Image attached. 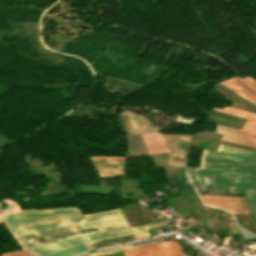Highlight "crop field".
Masks as SVG:
<instances>
[{
	"label": "crop field",
	"instance_id": "crop-field-7",
	"mask_svg": "<svg viewBox=\"0 0 256 256\" xmlns=\"http://www.w3.org/2000/svg\"><path fill=\"white\" fill-rule=\"evenodd\" d=\"M90 158L100 176L110 177L115 175H124L122 172L124 157L94 156Z\"/></svg>",
	"mask_w": 256,
	"mask_h": 256
},
{
	"label": "crop field",
	"instance_id": "crop-field-2",
	"mask_svg": "<svg viewBox=\"0 0 256 256\" xmlns=\"http://www.w3.org/2000/svg\"><path fill=\"white\" fill-rule=\"evenodd\" d=\"M78 217L69 218L61 221H56L52 223H47L43 225H38L34 227H29L21 230L12 231L11 234H20L70 223L77 222ZM80 232L78 229L77 223L15 235L14 238L17 242L21 245L22 248L32 246L35 244H39V240L34 239L32 237L24 238L26 235L34 234L35 236L42 239L44 242L57 239L60 236H65L73 233ZM43 243V242H42ZM25 250L37 255V256H70L82 251L90 250V247L85 242L84 238L82 237L81 233L75 234L72 236H68L65 238L57 239L54 241L46 242L43 244L35 245L32 247L24 248Z\"/></svg>",
	"mask_w": 256,
	"mask_h": 256
},
{
	"label": "crop field",
	"instance_id": "crop-field-10",
	"mask_svg": "<svg viewBox=\"0 0 256 256\" xmlns=\"http://www.w3.org/2000/svg\"><path fill=\"white\" fill-rule=\"evenodd\" d=\"M217 111L248 118L241 130L256 134V114L225 106L224 109L214 108Z\"/></svg>",
	"mask_w": 256,
	"mask_h": 256
},
{
	"label": "crop field",
	"instance_id": "crop-field-5",
	"mask_svg": "<svg viewBox=\"0 0 256 256\" xmlns=\"http://www.w3.org/2000/svg\"><path fill=\"white\" fill-rule=\"evenodd\" d=\"M180 249L178 243L169 240L161 243L147 245L124 251L126 256H178L183 253L178 252Z\"/></svg>",
	"mask_w": 256,
	"mask_h": 256
},
{
	"label": "crop field",
	"instance_id": "crop-field-16",
	"mask_svg": "<svg viewBox=\"0 0 256 256\" xmlns=\"http://www.w3.org/2000/svg\"><path fill=\"white\" fill-rule=\"evenodd\" d=\"M0 256H32V255L24 252L23 250H20V251L10 252L6 254H1Z\"/></svg>",
	"mask_w": 256,
	"mask_h": 256
},
{
	"label": "crop field",
	"instance_id": "crop-field-17",
	"mask_svg": "<svg viewBox=\"0 0 256 256\" xmlns=\"http://www.w3.org/2000/svg\"><path fill=\"white\" fill-rule=\"evenodd\" d=\"M244 82H246L247 84H249L250 86H252L253 88L256 89V82H254L252 79H250L249 77L242 79Z\"/></svg>",
	"mask_w": 256,
	"mask_h": 256
},
{
	"label": "crop field",
	"instance_id": "crop-field-18",
	"mask_svg": "<svg viewBox=\"0 0 256 256\" xmlns=\"http://www.w3.org/2000/svg\"><path fill=\"white\" fill-rule=\"evenodd\" d=\"M211 210H212V207H211ZM211 210L207 214H205L202 217H200L199 219H197V221L202 223L208 217V215L210 214Z\"/></svg>",
	"mask_w": 256,
	"mask_h": 256
},
{
	"label": "crop field",
	"instance_id": "crop-field-14",
	"mask_svg": "<svg viewBox=\"0 0 256 256\" xmlns=\"http://www.w3.org/2000/svg\"><path fill=\"white\" fill-rule=\"evenodd\" d=\"M229 79L256 97V91L253 90L251 87L234 77Z\"/></svg>",
	"mask_w": 256,
	"mask_h": 256
},
{
	"label": "crop field",
	"instance_id": "crop-field-6",
	"mask_svg": "<svg viewBox=\"0 0 256 256\" xmlns=\"http://www.w3.org/2000/svg\"><path fill=\"white\" fill-rule=\"evenodd\" d=\"M204 204H211L232 213L249 214L245 198L200 195Z\"/></svg>",
	"mask_w": 256,
	"mask_h": 256
},
{
	"label": "crop field",
	"instance_id": "crop-field-13",
	"mask_svg": "<svg viewBox=\"0 0 256 256\" xmlns=\"http://www.w3.org/2000/svg\"><path fill=\"white\" fill-rule=\"evenodd\" d=\"M170 221H162V222H157V223H152V224H147L143 226H138V227H133L132 230L134 231L135 235L137 236L138 239L149 237V234L146 229L165 225V224H170Z\"/></svg>",
	"mask_w": 256,
	"mask_h": 256
},
{
	"label": "crop field",
	"instance_id": "crop-field-9",
	"mask_svg": "<svg viewBox=\"0 0 256 256\" xmlns=\"http://www.w3.org/2000/svg\"><path fill=\"white\" fill-rule=\"evenodd\" d=\"M216 132L223 134V136L221 138L223 140L256 147V135L238 131V130H234V129H230V128H226V127L219 126V125H217Z\"/></svg>",
	"mask_w": 256,
	"mask_h": 256
},
{
	"label": "crop field",
	"instance_id": "crop-field-8",
	"mask_svg": "<svg viewBox=\"0 0 256 256\" xmlns=\"http://www.w3.org/2000/svg\"><path fill=\"white\" fill-rule=\"evenodd\" d=\"M202 154L256 162V152L222 144L219 145L217 152L204 149Z\"/></svg>",
	"mask_w": 256,
	"mask_h": 256
},
{
	"label": "crop field",
	"instance_id": "crop-field-1",
	"mask_svg": "<svg viewBox=\"0 0 256 256\" xmlns=\"http://www.w3.org/2000/svg\"><path fill=\"white\" fill-rule=\"evenodd\" d=\"M195 175L203 189L246 191L256 220V163L202 155Z\"/></svg>",
	"mask_w": 256,
	"mask_h": 256
},
{
	"label": "crop field",
	"instance_id": "crop-field-12",
	"mask_svg": "<svg viewBox=\"0 0 256 256\" xmlns=\"http://www.w3.org/2000/svg\"><path fill=\"white\" fill-rule=\"evenodd\" d=\"M220 83L223 84L224 86L232 89L237 94H239L241 97L247 99L254 106H256V98L254 96H252L251 94H249L248 92H246L245 90H243L242 88H240L239 86H237L236 84H234L233 82H231L230 80L227 79V80H225L223 82H220Z\"/></svg>",
	"mask_w": 256,
	"mask_h": 256
},
{
	"label": "crop field",
	"instance_id": "crop-field-11",
	"mask_svg": "<svg viewBox=\"0 0 256 256\" xmlns=\"http://www.w3.org/2000/svg\"><path fill=\"white\" fill-rule=\"evenodd\" d=\"M133 240H136V239L134 235H131V236L113 238L108 240L90 242L89 245L91 246V248H99V247L109 246L116 243H122V242L133 241Z\"/></svg>",
	"mask_w": 256,
	"mask_h": 256
},
{
	"label": "crop field",
	"instance_id": "crop-field-15",
	"mask_svg": "<svg viewBox=\"0 0 256 256\" xmlns=\"http://www.w3.org/2000/svg\"><path fill=\"white\" fill-rule=\"evenodd\" d=\"M184 229H186L187 231H189V232H191V233H193L195 235H199L200 233L203 232L202 228H200L198 226H194V225H191V226H189L187 228H184Z\"/></svg>",
	"mask_w": 256,
	"mask_h": 256
},
{
	"label": "crop field",
	"instance_id": "crop-field-4",
	"mask_svg": "<svg viewBox=\"0 0 256 256\" xmlns=\"http://www.w3.org/2000/svg\"><path fill=\"white\" fill-rule=\"evenodd\" d=\"M81 215L76 208L26 210L0 216L9 231Z\"/></svg>",
	"mask_w": 256,
	"mask_h": 256
},
{
	"label": "crop field",
	"instance_id": "crop-field-3",
	"mask_svg": "<svg viewBox=\"0 0 256 256\" xmlns=\"http://www.w3.org/2000/svg\"><path fill=\"white\" fill-rule=\"evenodd\" d=\"M79 225L81 229H99L83 234L87 242L133 234L119 209L83 215Z\"/></svg>",
	"mask_w": 256,
	"mask_h": 256
}]
</instances>
